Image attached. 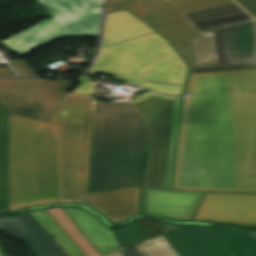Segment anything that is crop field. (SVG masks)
<instances>
[{"label": "crop field", "mask_w": 256, "mask_h": 256, "mask_svg": "<svg viewBox=\"0 0 256 256\" xmlns=\"http://www.w3.org/2000/svg\"><path fill=\"white\" fill-rule=\"evenodd\" d=\"M181 256H216L232 253L216 232L179 229L165 234ZM198 249L200 254H196Z\"/></svg>", "instance_id": "cbeb9de0"}, {"label": "crop field", "mask_w": 256, "mask_h": 256, "mask_svg": "<svg viewBox=\"0 0 256 256\" xmlns=\"http://www.w3.org/2000/svg\"><path fill=\"white\" fill-rule=\"evenodd\" d=\"M0 256H3L1 252H0Z\"/></svg>", "instance_id": "028f5c9d"}, {"label": "crop field", "mask_w": 256, "mask_h": 256, "mask_svg": "<svg viewBox=\"0 0 256 256\" xmlns=\"http://www.w3.org/2000/svg\"><path fill=\"white\" fill-rule=\"evenodd\" d=\"M143 256H179L163 235L136 245Z\"/></svg>", "instance_id": "a9b5d70f"}, {"label": "crop field", "mask_w": 256, "mask_h": 256, "mask_svg": "<svg viewBox=\"0 0 256 256\" xmlns=\"http://www.w3.org/2000/svg\"><path fill=\"white\" fill-rule=\"evenodd\" d=\"M0 76H13V77H16L15 74L11 71L10 68L0 70Z\"/></svg>", "instance_id": "bd1437ed"}, {"label": "crop field", "mask_w": 256, "mask_h": 256, "mask_svg": "<svg viewBox=\"0 0 256 256\" xmlns=\"http://www.w3.org/2000/svg\"><path fill=\"white\" fill-rule=\"evenodd\" d=\"M250 14L256 17V0H235Z\"/></svg>", "instance_id": "d3111659"}, {"label": "crop field", "mask_w": 256, "mask_h": 256, "mask_svg": "<svg viewBox=\"0 0 256 256\" xmlns=\"http://www.w3.org/2000/svg\"><path fill=\"white\" fill-rule=\"evenodd\" d=\"M131 101L153 120L143 187L171 189L182 99L150 91Z\"/></svg>", "instance_id": "d8731c3e"}, {"label": "crop field", "mask_w": 256, "mask_h": 256, "mask_svg": "<svg viewBox=\"0 0 256 256\" xmlns=\"http://www.w3.org/2000/svg\"><path fill=\"white\" fill-rule=\"evenodd\" d=\"M201 32L251 19L232 0H170Z\"/></svg>", "instance_id": "28ad6ade"}, {"label": "crop field", "mask_w": 256, "mask_h": 256, "mask_svg": "<svg viewBox=\"0 0 256 256\" xmlns=\"http://www.w3.org/2000/svg\"><path fill=\"white\" fill-rule=\"evenodd\" d=\"M129 8L171 43L200 32L169 0H109L106 12Z\"/></svg>", "instance_id": "3316defc"}, {"label": "crop field", "mask_w": 256, "mask_h": 256, "mask_svg": "<svg viewBox=\"0 0 256 256\" xmlns=\"http://www.w3.org/2000/svg\"><path fill=\"white\" fill-rule=\"evenodd\" d=\"M17 218L30 233V235L38 240L40 247L47 256H68L45 231V229L36 221L30 212L23 216H18Z\"/></svg>", "instance_id": "214f88e0"}, {"label": "crop field", "mask_w": 256, "mask_h": 256, "mask_svg": "<svg viewBox=\"0 0 256 256\" xmlns=\"http://www.w3.org/2000/svg\"><path fill=\"white\" fill-rule=\"evenodd\" d=\"M155 32L129 10L106 14L101 45L106 46Z\"/></svg>", "instance_id": "5142ce71"}, {"label": "crop field", "mask_w": 256, "mask_h": 256, "mask_svg": "<svg viewBox=\"0 0 256 256\" xmlns=\"http://www.w3.org/2000/svg\"><path fill=\"white\" fill-rule=\"evenodd\" d=\"M23 77L40 78L26 62H12Z\"/></svg>", "instance_id": "ae1a2a85"}, {"label": "crop field", "mask_w": 256, "mask_h": 256, "mask_svg": "<svg viewBox=\"0 0 256 256\" xmlns=\"http://www.w3.org/2000/svg\"><path fill=\"white\" fill-rule=\"evenodd\" d=\"M221 256H235L234 254H227V255H221Z\"/></svg>", "instance_id": "5866460e"}, {"label": "crop field", "mask_w": 256, "mask_h": 256, "mask_svg": "<svg viewBox=\"0 0 256 256\" xmlns=\"http://www.w3.org/2000/svg\"><path fill=\"white\" fill-rule=\"evenodd\" d=\"M193 221L256 226V195L206 194Z\"/></svg>", "instance_id": "d1516ede"}, {"label": "crop field", "mask_w": 256, "mask_h": 256, "mask_svg": "<svg viewBox=\"0 0 256 256\" xmlns=\"http://www.w3.org/2000/svg\"><path fill=\"white\" fill-rule=\"evenodd\" d=\"M55 203V123L10 114L9 211Z\"/></svg>", "instance_id": "34b2d1b8"}, {"label": "crop field", "mask_w": 256, "mask_h": 256, "mask_svg": "<svg viewBox=\"0 0 256 256\" xmlns=\"http://www.w3.org/2000/svg\"><path fill=\"white\" fill-rule=\"evenodd\" d=\"M0 231H3L7 235H13L19 241L25 243L35 256H46L16 217L6 216L1 218Z\"/></svg>", "instance_id": "00972430"}, {"label": "crop field", "mask_w": 256, "mask_h": 256, "mask_svg": "<svg viewBox=\"0 0 256 256\" xmlns=\"http://www.w3.org/2000/svg\"><path fill=\"white\" fill-rule=\"evenodd\" d=\"M96 109L89 192L141 187L152 120L131 101Z\"/></svg>", "instance_id": "ac0d7876"}, {"label": "crop field", "mask_w": 256, "mask_h": 256, "mask_svg": "<svg viewBox=\"0 0 256 256\" xmlns=\"http://www.w3.org/2000/svg\"><path fill=\"white\" fill-rule=\"evenodd\" d=\"M77 81L82 82V84L72 93L92 96L97 91V89L93 88L96 83L91 82L87 76L82 74L78 77Z\"/></svg>", "instance_id": "eef30255"}, {"label": "crop field", "mask_w": 256, "mask_h": 256, "mask_svg": "<svg viewBox=\"0 0 256 256\" xmlns=\"http://www.w3.org/2000/svg\"><path fill=\"white\" fill-rule=\"evenodd\" d=\"M238 256H256V241L242 228L214 227Z\"/></svg>", "instance_id": "bc2a9ffb"}, {"label": "crop field", "mask_w": 256, "mask_h": 256, "mask_svg": "<svg viewBox=\"0 0 256 256\" xmlns=\"http://www.w3.org/2000/svg\"><path fill=\"white\" fill-rule=\"evenodd\" d=\"M31 213L69 256H84L44 210L31 211Z\"/></svg>", "instance_id": "dafd665d"}, {"label": "crop field", "mask_w": 256, "mask_h": 256, "mask_svg": "<svg viewBox=\"0 0 256 256\" xmlns=\"http://www.w3.org/2000/svg\"><path fill=\"white\" fill-rule=\"evenodd\" d=\"M85 256H100L99 251L83 234L62 207H55L45 210Z\"/></svg>", "instance_id": "4a817a6b"}, {"label": "crop field", "mask_w": 256, "mask_h": 256, "mask_svg": "<svg viewBox=\"0 0 256 256\" xmlns=\"http://www.w3.org/2000/svg\"><path fill=\"white\" fill-rule=\"evenodd\" d=\"M173 188L256 192V69L191 74Z\"/></svg>", "instance_id": "8a807250"}, {"label": "crop field", "mask_w": 256, "mask_h": 256, "mask_svg": "<svg viewBox=\"0 0 256 256\" xmlns=\"http://www.w3.org/2000/svg\"><path fill=\"white\" fill-rule=\"evenodd\" d=\"M70 87V81L0 79V102L10 113L45 121Z\"/></svg>", "instance_id": "5a996713"}, {"label": "crop field", "mask_w": 256, "mask_h": 256, "mask_svg": "<svg viewBox=\"0 0 256 256\" xmlns=\"http://www.w3.org/2000/svg\"><path fill=\"white\" fill-rule=\"evenodd\" d=\"M184 228H187V229H203V230L212 231L210 227L187 226V227H184Z\"/></svg>", "instance_id": "1d83c4d3"}, {"label": "crop field", "mask_w": 256, "mask_h": 256, "mask_svg": "<svg viewBox=\"0 0 256 256\" xmlns=\"http://www.w3.org/2000/svg\"><path fill=\"white\" fill-rule=\"evenodd\" d=\"M106 256H123V254L121 253V251H117V252H114V253H111V254H108Z\"/></svg>", "instance_id": "120bbe31"}, {"label": "crop field", "mask_w": 256, "mask_h": 256, "mask_svg": "<svg viewBox=\"0 0 256 256\" xmlns=\"http://www.w3.org/2000/svg\"><path fill=\"white\" fill-rule=\"evenodd\" d=\"M96 99L67 93L47 122H94Z\"/></svg>", "instance_id": "733c2abd"}, {"label": "crop field", "mask_w": 256, "mask_h": 256, "mask_svg": "<svg viewBox=\"0 0 256 256\" xmlns=\"http://www.w3.org/2000/svg\"><path fill=\"white\" fill-rule=\"evenodd\" d=\"M114 230L121 240L123 248L145 240L137 221L123 228H114Z\"/></svg>", "instance_id": "4177f3b9"}, {"label": "crop field", "mask_w": 256, "mask_h": 256, "mask_svg": "<svg viewBox=\"0 0 256 256\" xmlns=\"http://www.w3.org/2000/svg\"><path fill=\"white\" fill-rule=\"evenodd\" d=\"M173 48L157 32L102 47L89 73L182 96L189 66Z\"/></svg>", "instance_id": "f4fd0767"}, {"label": "crop field", "mask_w": 256, "mask_h": 256, "mask_svg": "<svg viewBox=\"0 0 256 256\" xmlns=\"http://www.w3.org/2000/svg\"><path fill=\"white\" fill-rule=\"evenodd\" d=\"M122 253L124 254V256H141L135 246L123 249Z\"/></svg>", "instance_id": "750c4746"}, {"label": "crop field", "mask_w": 256, "mask_h": 256, "mask_svg": "<svg viewBox=\"0 0 256 256\" xmlns=\"http://www.w3.org/2000/svg\"><path fill=\"white\" fill-rule=\"evenodd\" d=\"M94 123H56L59 203H82L118 224L140 214L141 188L86 194Z\"/></svg>", "instance_id": "412701ff"}, {"label": "crop field", "mask_w": 256, "mask_h": 256, "mask_svg": "<svg viewBox=\"0 0 256 256\" xmlns=\"http://www.w3.org/2000/svg\"><path fill=\"white\" fill-rule=\"evenodd\" d=\"M203 193L145 189V215L191 220Z\"/></svg>", "instance_id": "22f410ed"}, {"label": "crop field", "mask_w": 256, "mask_h": 256, "mask_svg": "<svg viewBox=\"0 0 256 256\" xmlns=\"http://www.w3.org/2000/svg\"><path fill=\"white\" fill-rule=\"evenodd\" d=\"M138 223L146 237H152L173 229H179L181 227L173 224L164 223L161 221L150 220V219H140Z\"/></svg>", "instance_id": "730fd06b"}, {"label": "crop field", "mask_w": 256, "mask_h": 256, "mask_svg": "<svg viewBox=\"0 0 256 256\" xmlns=\"http://www.w3.org/2000/svg\"><path fill=\"white\" fill-rule=\"evenodd\" d=\"M63 208L85 235H91L89 239L102 255L121 247V244L116 238L112 229L105 227L98 217L82 208Z\"/></svg>", "instance_id": "d9b57169"}, {"label": "crop field", "mask_w": 256, "mask_h": 256, "mask_svg": "<svg viewBox=\"0 0 256 256\" xmlns=\"http://www.w3.org/2000/svg\"><path fill=\"white\" fill-rule=\"evenodd\" d=\"M256 240V231H247Z\"/></svg>", "instance_id": "d32e631a"}, {"label": "crop field", "mask_w": 256, "mask_h": 256, "mask_svg": "<svg viewBox=\"0 0 256 256\" xmlns=\"http://www.w3.org/2000/svg\"><path fill=\"white\" fill-rule=\"evenodd\" d=\"M52 18L4 41L5 45L24 55L65 36L97 35L101 7L105 0H39Z\"/></svg>", "instance_id": "e52e79f7"}, {"label": "crop field", "mask_w": 256, "mask_h": 256, "mask_svg": "<svg viewBox=\"0 0 256 256\" xmlns=\"http://www.w3.org/2000/svg\"><path fill=\"white\" fill-rule=\"evenodd\" d=\"M7 125L8 108L0 104V212L6 211L7 204Z\"/></svg>", "instance_id": "92a150f3"}, {"label": "crop field", "mask_w": 256, "mask_h": 256, "mask_svg": "<svg viewBox=\"0 0 256 256\" xmlns=\"http://www.w3.org/2000/svg\"><path fill=\"white\" fill-rule=\"evenodd\" d=\"M173 45L193 66L191 73L256 68L253 19Z\"/></svg>", "instance_id": "dd49c442"}]
</instances>
